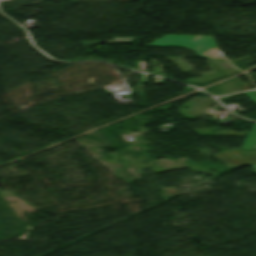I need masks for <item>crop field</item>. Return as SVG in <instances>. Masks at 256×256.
<instances>
[{"mask_svg": "<svg viewBox=\"0 0 256 256\" xmlns=\"http://www.w3.org/2000/svg\"><path fill=\"white\" fill-rule=\"evenodd\" d=\"M242 86H243V89H244V90L250 89L248 83H243Z\"/></svg>", "mask_w": 256, "mask_h": 256, "instance_id": "34b2d1b8", "label": "crop field"}, {"mask_svg": "<svg viewBox=\"0 0 256 256\" xmlns=\"http://www.w3.org/2000/svg\"><path fill=\"white\" fill-rule=\"evenodd\" d=\"M221 152L222 153L214 154L213 156L228 168L236 169L256 164V151L244 152L241 150H236Z\"/></svg>", "mask_w": 256, "mask_h": 256, "instance_id": "ac0d7876", "label": "crop field"}, {"mask_svg": "<svg viewBox=\"0 0 256 256\" xmlns=\"http://www.w3.org/2000/svg\"><path fill=\"white\" fill-rule=\"evenodd\" d=\"M150 46L181 47L196 52L197 57L209 60L222 57L211 36L167 35Z\"/></svg>", "mask_w": 256, "mask_h": 256, "instance_id": "8a807250", "label": "crop field"}]
</instances>
